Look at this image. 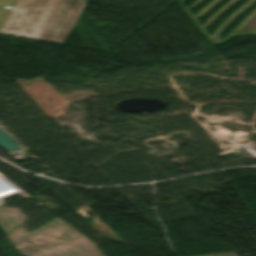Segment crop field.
Here are the masks:
<instances>
[{
    "label": "crop field",
    "mask_w": 256,
    "mask_h": 256,
    "mask_svg": "<svg viewBox=\"0 0 256 256\" xmlns=\"http://www.w3.org/2000/svg\"><path fill=\"white\" fill-rule=\"evenodd\" d=\"M87 0H16L1 34L63 44Z\"/></svg>",
    "instance_id": "1"
},
{
    "label": "crop field",
    "mask_w": 256,
    "mask_h": 256,
    "mask_svg": "<svg viewBox=\"0 0 256 256\" xmlns=\"http://www.w3.org/2000/svg\"><path fill=\"white\" fill-rule=\"evenodd\" d=\"M9 13H10V10L0 8V27Z\"/></svg>",
    "instance_id": "2"
},
{
    "label": "crop field",
    "mask_w": 256,
    "mask_h": 256,
    "mask_svg": "<svg viewBox=\"0 0 256 256\" xmlns=\"http://www.w3.org/2000/svg\"><path fill=\"white\" fill-rule=\"evenodd\" d=\"M15 0H0V6L8 5L13 6Z\"/></svg>",
    "instance_id": "3"
},
{
    "label": "crop field",
    "mask_w": 256,
    "mask_h": 256,
    "mask_svg": "<svg viewBox=\"0 0 256 256\" xmlns=\"http://www.w3.org/2000/svg\"><path fill=\"white\" fill-rule=\"evenodd\" d=\"M252 31H253V33L254 34H256V26L252 29ZM220 39H218V38H213V41L214 42H217V41H219Z\"/></svg>",
    "instance_id": "4"
}]
</instances>
